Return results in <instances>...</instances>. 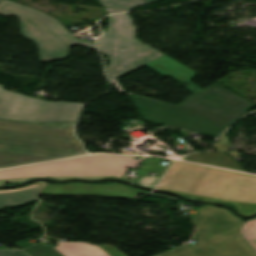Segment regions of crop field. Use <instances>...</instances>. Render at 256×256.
<instances>
[{
    "label": "crop field",
    "instance_id": "8a807250",
    "mask_svg": "<svg viewBox=\"0 0 256 256\" xmlns=\"http://www.w3.org/2000/svg\"><path fill=\"white\" fill-rule=\"evenodd\" d=\"M127 93L146 121L216 137L255 106L215 83L177 106Z\"/></svg>",
    "mask_w": 256,
    "mask_h": 256
},
{
    "label": "crop field",
    "instance_id": "ac0d7876",
    "mask_svg": "<svg viewBox=\"0 0 256 256\" xmlns=\"http://www.w3.org/2000/svg\"><path fill=\"white\" fill-rule=\"evenodd\" d=\"M74 124L0 120V168L86 154L73 136Z\"/></svg>",
    "mask_w": 256,
    "mask_h": 256
},
{
    "label": "crop field",
    "instance_id": "34b2d1b8",
    "mask_svg": "<svg viewBox=\"0 0 256 256\" xmlns=\"http://www.w3.org/2000/svg\"><path fill=\"white\" fill-rule=\"evenodd\" d=\"M159 187L256 203V176L173 161Z\"/></svg>",
    "mask_w": 256,
    "mask_h": 256
},
{
    "label": "crop field",
    "instance_id": "412701ff",
    "mask_svg": "<svg viewBox=\"0 0 256 256\" xmlns=\"http://www.w3.org/2000/svg\"><path fill=\"white\" fill-rule=\"evenodd\" d=\"M98 47L110 57L107 73L120 93L125 91L117 78L164 56L136 38V27L129 15L110 16L109 29L98 38Z\"/></svg>",
    "mask_w": 256,
    "mask_h": 256
},
{
    "label": "crop field",
    "instance_id": "f4fd0767",
    "mask_svg": "<svg viewBox=\"0 0 256 256\" xmlns=\"http://www.w3.org/2000/svg\"><path fill=\"white\" fill-rule=\"evenodd\" d=\"M16 15L20 18L22 37L36 43L40 49L41 62L68 57L69 47L80 44L94 48V43L79 40L55 18L39 10L2 0L0 15Z\"/></svg>",
    "mask_w": 256,
    "mask_h": 256
},
{
    "label": "crop field",
    "instance_id": "dd49c442",
    "mask_svg": "<svg viewBox=\"0 0 256 256\" xmlns=\"http://www.w3.org/2000/svg\"><path fill=\"white\" fill-rule=\"evenodd\" d=\"M142 159L116 155H90L82 158L0 171V179L33 176H123Z\"/></svg>",
    "mask_w": 256,
    "mask_h": 256
},
{
    "label": "crop field",
    "instance_id": "e52e79f7",
    "mask_svg": "<svg viewBox=\"0 0 256 256\" xmlns=\"http://www.w3.org/2000/svg\"><path fill=\"white\" fill-rule=\"evenodd\" d=\"M194 239L203 244L180 248L160 256H256L237 232L240 224L198 214Z\"/></svg>",
    "mask_w": 256,
    "mask_h": 256
},
{
    "label": "crop field",
    "instance_id": "d8731c3e",
    "mask_svg": "<svg viewBox=\"0 0 256 256\" xmlns=\"http://www.w3.org/2000/svg\"><path fill=\"white\" fill-rule=\"evenodd\" d=\"M84 105L42 101L5 91L0 85V119L33 124L76 122Z\"/></svg>",
    "mask_w": 256,
    "mask_h": 256
},
{
    "label": "crop field",
    "instance_id": "5a996713",
    "mask_svg": "<svg viewBox=\"0 0 256 256\" xmlns=\"http://www.w3.org/2000/svg\"><path fill=\"white\" fill-rule=\"evenodd\" d=\"M140 192V190L131 189L119 183L109 185L69 183L63 185H47L41 195H99L134 198Z\"/></svg>",
    "mask_w": 256,
    "mask_h": 256
},
{
    "label": "crop field",
    "instance_id": "3316defc",
    "mask_svg": "<svg viewBox=\"0 0 256 256\" xmlns=\"http://www.w3.org/2000/svg\"><path fill=\"white\" fill-rule=\"evenodd\" d=\"M146 66L164 76H170L182 83H188L189 86L186 87V89L193 94L203 90L190 81L195 77L197 72L187 68L168 56H164Z\"/></svg>",
    "mask_w": 256,
    "mask_h": 256
},
{
    "label": "crop field",
    "instance_id": "28ad6ade",
    "mask_svg": "<svg viewBox=\"0 0 256 256\" xmlns=\"http://www.w3.org/2000/svg\"><path fill=\"white\" fill-rule=\"evenodd\" d=\"M43 187L44 186H38L25 190L0 194V210L7 207H16L36 201V198Z\"/></svg>",
    "mask_w": 256,
    "mask_h": 256
},
{
    "label": "crop field",
    "instance_id": "d1516ede",
    "mask_svg": "<svg viewBox=\"0 0 256 256\" xmlns=\"http://www.w3.org/2000/svg\"><path fill=\"white\" fill-rule=\"evenodd\" d=\"M186 160L204 164H211L213 166L222 168L244 171L240 165H238L234 160H232L229 156L223 153H196L191 156H187Z\"/></svg>",
    "mask_w": 256,
    "mask_h": 256
},
{
    "label": "crop field",
    "instance_id": "22f410ed",
    "mask_svg": "<svg viewBox=\"0 0 256 256\" xmlns=\"http://www.w3.org/2000/svg\"><path fill=\"white\" fill-rule=\"evenodd\" d=\"M56 249L65 256H109L99 247L88 243H59Z\"/></svg>",
    "mask_w": 256,
    "mask_h": 256
},
{
    "label": "crop field",
    "instance_id": "cbeb9de0",
    "mask_svg": "<svg viewBox=\"0 0 256 256\" xmlns=\"http://www.w3.org/2000/svg\"><path fill=\"white\" fill-rule=\"evenodd\" d=\"M106 8L129 10L134 7L144 6L160 0H99Z\"/></svg>",
    "mask_w": 256,
    "mask_h": 256
},
{
    "label": "crop field",
    "instance_id": "5142ce71",
    "mask_svg": "<svg viewBox=\"0 0 256 256\" xmlns=\"http://www.w3.org/2000/svg\"><path fill=\"white\" fill-rule=\"evenodd\" d=\"M156 189H163V188L156 187ZM164 190H168V189H164ZM178 193H180V192H178ZM180 194L184 195V193H180ZM186 196H188L191 199L204 200V201H212V202L225 201V200L209 198V197H204V196H198V195L187 194ZM228 202H231V201H228ZM232 203H235L236 206L238 207V209L240 210V212L245 215H252L256 212V204H254V203H242V202H232Z\"/></svg>",
    "mask_w": 256,
    "mask_h": 256
},
{
    "label": "crop field",
    "instance_id": "d9b57169",
    "mask_svg": "<svg viewBox=\"0 0 256 256\" xmlns=\"http://www.w3.org/2000/svg\"><path fill=\"white\" fill-rule=\"evenodd\" d=\"M238 232L256 251V218L246 221Z\"/></svg>",
    "mask_w": 256,
    "mask_h": 256
},
{
    "label": "crop field",
    "instance_id": "733c2abd",
    "mask_svg": "<svg viewBox=\"0 0 256 256\" xmlns=\"http://www.w3.org/2000/svg\"><path fill=\"white\" fill-rule=\"evenodd\" d=\"M200 213L209 215V216H213V217H217V218H221V219H225V220H229V221H233V222H237V223H241V224L244 223V221L234 217L227 210L217 208V207L203 206Z\"/></svg>",
    "mask_w": 256,
    "mask_h": 256
},
{
    "label": "crop field",
    "instance_id": "4a817a6b",
    "mask_svg": "<svg viewBox=\"0 0 256 256\" xmlns=\"http://www.w3.org/2000/svg\"><path fill=\"white\" fill-rule=\"evenodd\" d=\"M31 256H62L51 246L43 247L42 245H37L33 248L25 250Z\"/></svg>",
    "mask_w": 256,
    "mask_h": 256
},
{
    "label": "crop field",
    "instance_id": "bc2a9ffb",
    "mask_svg": "<svg viewBox=\"0 0 256 256\" xmlns=\"http://www.w3.org/2000/svg\"><path fill=\"white\" fill-rule=\"evenodd\" d=\"M49 178H53V179H59V180H63V179H69V178H79V179H87V180H97V179H101L104 177H49ZM116 178H122V177H116ZM29 178H23V179H9V180H0V185L5 184L6 182H18V181H25Z\"/></svg>",
    "mask_w": 256,
    "mask_h": 256
},
{
    "label": "crop field",
    "instance_id": "214f88e0",
    "mask_svg": "<svg viewBox=\"0 0 256 256\" xmlns=\"http://www.w3.org/2000/svg\"><path fill=\"white\" fill-rule=\"evenodd\" d=\"M100 248L107 252L110 256H125L117 249L110 246H101Z\"/></svg>",
    "mask_w": 256,
    "mask_h": 256
},
{
    "label": "crop field",
    "instance_id": "92a150f3",
    "mask_svg": "<svg viewBox=\"0 0 256 256\" xmlns=\"http://www.w3.org/2000/svg\"><path fill=\"white\" fill-rule=\"evenodd\" d=\"M0 256H27L22 251L12 250V251H1Z\"/></svg>",
    "mask_w": 256,
    "mask_h": 256
},
{
    "label": "crop field",
    "instance_id": "dafd665d",
    "mask_svg": "<svg viewBox=\"0 0 256 256\" xmlns=\"http://www.w3.org/2000/svg\"><path fill=\"white\" fill-rule=\"evenodd\" d=\"M38 185H44V184H34V185H30V186H27V187H24V188L38 186ZM24 188H22V189H24ZM14 190H20V189H14ZM14 190H0V193H6V192L14 191Z\"/></svg>",
    "mask_w": 256,
    "mask_h": 256
},
{
    "label": "crop field",
    "instance_id": "00972430",
    "mask_svg": "<svg viewBox=\"0 0 256 256\" xmlns=\"http://www.w3.org/2000/svg\"><path fill=\"white\" fill-rule=\"evenodd\" d=\"M109 13H122V12H128V11H121V10H114V9H108Z\"/></svg>",
    "mask_w": 256,
    "mask_h": 256
},
{
    "label": "crop field",
    "instance_id": "a9b5d70f",
    "mask_svg": "<svg viewBox=\"0 0 256 256\" xmlns=\"http://www.w3.org/2000/svg\"><path fill=\"white\" fill-rule=\"evenodd\" d=\"M22 249H25V248H28L30 246H32L31 244L29 243H25V244H18Z\"/></svg>",
    "mask_w": 256,
    "mask_h": 256
},
{
    "label": "crop field",
    "instance_id": "4177f3b9",
    "mask_svg": "<svg viewBox=\"0 0 256 256\" xmlns=\"http://www.w3.org/2000/svg\"><path fill=\"white\" fill-rule=\"evenodd\" d=\"M1 1V0H0Z\"/></svg>",
    "mask_w": 256,
    "mask_h": 256
}]
</instances>
